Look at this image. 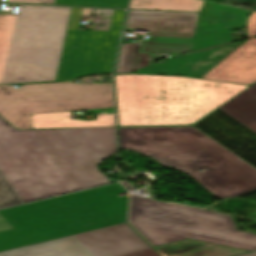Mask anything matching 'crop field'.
I'll return each mask as SVG.
<instances>
[{
    "label": "crop field",
    "mask_w": 256,
    "mask_h": 256,
    "mask_svg": "<svg viewBox=\"0 0 256 256\" xmlns=\"http://www.w3.org/2000/svg\"><path fill=\"white\" fill-rule=\"evenodd\" d=\"M71 112L31 115L33 129L115 126L114 115H99L96 121L70 120Z\"/></svg>",
    "instance_id": "crop-field-14"
},
{
    "label": "crop field",
    "mask_w": 256,
    "mask_h": 256,
    "mask_svg": "<svg viewBox=\"0 0 256 256\" xmlns=\"http://www.w3.org/2000/svg\"><path fill=\"white\" fill-rule=\"evenodd\" d=\"M119 143L188 174L219 199L256 189V169L194 127L119 128Z\"/></svg>",
    "instance_id": "crop-field-2"
},
{
    "label": "crop field",
    "mask_w": 256,
    "mask_h": 256,
    "mask_svg": "<svg viewBox=\"0 0 256 256\" xmlns=\"http://www.w3.org/2000/svg\"><path fill=\"white\" fill-rule=\"evenodd\" d=\"M1 1V0H0Z\"/></svg>",
    "instance_id": "crop-field-28"
},
{
    "label": "crop field",
    "mask_w": 256,
    "mask_h": 256,
    "mask_svg": "<svg viewBox=\"0 0 256 256\" xmlns=\"http://www.w3.org/2000/svg\"><path fill=\"white\" fill-rule=\"evenodd\" d=\"M102 111H107V113H113V108L102 109V110H91V111H86V112L87 113H102Z\"/></svg>",
    "instance_id": "crop-field-25"
},
{
    "label": "crop field",
    "mask_w": 256,
    "mask_h": 256,
    "mask_svg": "<svg viewBox=\"0 0 256 256\" xmlns=\"http://www.w3.org/2000/svg\"><path fill=\"white\" fill-rule=\"evenodd\" d=\"M71 10L20 5L0 16V84L55 81Z\"/></svg>",
    "instance_id": "crop-field-5"
},
{
    "label": "crop field",
    "mask_w": 256,
    "mask_h": 256,
    "mask_svg": "<svg viewBox=\"0 0 256 256\" xmlns=\"http://www.w3.org/2000/svg\"><path fill=\"white\" fill-rule=\"evenodd\" d=\"M124 13L115 10L110 32L68 30L56 81L111 73Z\"/></svg>",
    "instance_id": "crop-field-9"
},
{
    "label": "crop field",
    "mask_w": 256,
    "mask_h": 256,
    "mask_svg": "<svg viewBox=\"0 0 256 256\" xmlns=\"http://www.w3.org/2000/svg\"><path fill=\"white\" fill-rule=\"evenodd\" d=\"M248 40L211 70L204 79L253 84L256 82V12L249 16Z\"/></svg>",
    "instance_id": "crop-field-11"
},
{
    "label": "crop field",
    "mask_w": 256,
    "mask_h": 256,
    "mask_svg": "<svg viewBox=\"0 0 256 256\" xmlns=\"http://www.w3.org/2000/svg\"><path fill=\"white\" fill-rule=\"evenodd\" d=\"M124 186H125V188L127 189V190H132V189H134L130 184H128L127 182H124V183H122Z\"/></svg>",
    "instance_id": "crop-field-26"
},
{
    "label": "crop field",
    "mask_w": 256,
    "mask_h": 256,
    "mask_svg": "<svg viewBox=\"0 0 256 256\" xmlns=\"http://www.w3.org/2000/svg\"><path fill=\"white\" fill-rule=\"evenodd\" d=\"M12 227L8 222L0 215V231L11 229Z\"/></svg>",
    "instance_id": "crop-field-24"
},
{
    "label": "crop field",
    "mask_w": 256,
    "mask_h": 256,
    "mask_svg": "<svg viewBox=\"0 0 256 256\" xmlns=\"http://www.w3.org/2000/svg\"><path fill=\"white\" fill-rule=\"evenodd\" d=\"M125 256H158L152 249L125 255Z\"/></svg>",
    "instance_id": "crop-field-23"
},
{
    "label": "crop field",
    "mask_w": 256,
    "mask_h": 256,
    "mask_svg": "<svg viewBox=\"0 0 256 256\" xmlns=\"http://www.w3.org/2000/svg\"><path fill=\"white\" fill-rule=\"evenodd\" d=\"M0 86V115L18 129H32L30 114L113 107L111 83Z\"/></svg>",
    "instance_id": "crop-field-7"
},
{
    "label": "crop field",
    "mask_w": 256,
    "mask_h": 256,
    "mask_svg": "<svg viewBox=\"0 0 256 256\" xmlns=\"http://www.w3.org/2000/svg\"><path fill=\"white\" fill-rule=\"evenodd\" d=\"M125 192L117 183L0 210L14 228L0 232V250L127 222L128 197L116 196Z\"/></svg>",
    "instance_id": "crop-field-4"
},
{
    "label": "crop field",
    "mask_w": 256,
    "mask_h": 256,
    "mask_svg": "<svg viewBox=\"0 0 256 256\" xmlns=\"http://www.w3.org/2000/svg\"><path fill=\"white\" fill-rule=\"evenodd\" d=\"M238 44H229L210 48L204 53H188L165 60L161 64H154L137 72L174 74L200 77L204 72L214 66Z\"/></svg>",
    "instance_id": "crop-field-12"
},
{
    "label": "crop field",
    "mask_w": 256,
    "mask_h": 256,
    "mask_svg": "<svg viewBox=\"0 0 256 256\" xmlns=\"http://www.w3.org/2000/svg\"><path fill=\"white\" fill-rule=\"evenodd\" d=\"M149 248L122 224L1 252L0 256H120Z\"/></svg>",
    "instance_id": "crop-field-8"
},
{
    "label": "crop field",
    "mask_w": 256,
    "mask_h": 256,
    "mask_svg": "<svg viewBox=\"0 0 256 256\" xmlns=\"http://www.w3.org/2000/svg\"><path fill=\"white\" fill-rule=\"evenodd\" d=\"M246 87L188 78L115 76L118 126L191 125Z\"/></svg>",
    "instance_id": "crop-field-3"
},
{
    "label": "crop field",
    "mask_w": 256,
    "mask_h": 256,
    "mask_svg": "<svg viewBox=\"0 0 256 256\" xmlns=\"http://www.w3.org/2000/svg\"><path fill=\"white\" fill-rule=\"evenodd\" d=\"M249 11L205 2L197 26L238 29Z\"/></svg>",
    "instance_id": "crop-field-13"
},
{
    "label": "crop field",
    "mask_w": 256,
    "mask_h": 256,
    "mask_svg": "<svg viewBox=\"0 0 256 256\" xmlns=\"http://www.w3.org/2000/svg\"><path fill=\"white\" fill-rule=\"evenodd\" d=\"M10 125V124H9ZM0 118V172L23 203L108 184L114 127L15 130Z\"/></svg>",
    "instance_id": "crop-field-1"
},
{
    "label": "crop field",
    "mask_w": 256,
    "mask_h": 256,
    "mask_svg": "<svg viewBox=\"0 0 256 256\" xmlns=\"http://www.w3.org/2000/svg\"><path fill=\"white\" fill-rule=\"evenodd\" d=\"M58 5L126 8L129 0H55Z\"/></svg>",
    "instance_id": "crop-field-19"
},
{
    "label": "crop field",
    "mask_w": 256,
    "mask_h": 256,
    "mask_svg": "<svg viewBox=\"0 0 256 256\" xmlns=\"http://www.w3.org/2000/svg\"><path fill=\"white\" fill-rule=\"evenodd\" d=\"M231 5L256 9V0H227Z\"/></svg>",
    "instance_id": "crop-field-21"
},
{
    "label": "crop field",
    "mask_w": 256,
    "mask_h": 256,
    "mask_svg": "<svg viewBox=\"0 0 256 256\" xmlns=\"http://www.w3.org/2000/svg\"><path fill=\"white\" fill-rule=\"evenodd\" d=\"M241 256H256V252L245 254V255H241Z\"/></svg>",
    "instance_id": "crop-field-27"
},
{
    "label": "crop field",
    "mask_w": 256,
    "mask_h": 256,
    "mask_svg": "<svg viewBox=\"0 0 256 256\" xmlns=\"http://www.w3.org/2000/svg\"><path fill=\"white\" fill-rule=\"evenodd\" d=\"M21 200L0 173V208L21 204Z\"/></svg>",
    "instance_id": "crop-field-20"
},
{
    "label": "crop field",
    "mask_w": 256,
    "mask_h": 256,
    "mask_svg": "<svg viewBox=\"0 0 256 256\" xmlns=\"http://www.w3.org/2000/svg\"><path fill=\"white\" fill-rule=\"evenodd\" d=\"M219 109L256 133V84Z\"/></svg>",
    "instance_id": "crop-field-15"
},
{
    "label": "crop field",
    "mask_w": 256,
    "mask_h": 256,
    "mask_svg": "<svg viewBox=\"0 0 256 256\" xmlns=\"http://www.w3.org/2000/svg\"><path fill=\"white\" fill-rule=\"evenodd\" d=\"M129 221L153 246L189 238L256 250V235L236 231L230 216L196 208L131 195Z\"/></svg>",
    "instance_id": "crop-field-6"
},
{
    "label": "crop field",
    "mask_w": 256,
    "mask_h": 256,
    "mask_svg": "<svg viewBox=\"0 0 256 256\" xmlns=\"http://www.w3.org/2000/svg\"><path fill=\"white\" fill-rule=\"evenodd\" d=\"M141 42L122 43L116 73L137 71L149 65V54L139 52Z\"/></svg>",
    "instance_id": "crop-field-16"
},
{
    "label": "crop field",
    "mask_w": 256,
    "mask_h": 256,
    "mask_svg": "<svg viewBox=\"0 0 256 256\" xmlns=\"http://www.w3.org/2000/svg\"><path fill=\"white\" fill-rule=\"evenodd\" d=\"M8 2L19 3H43V4H56L54 0H7Z\"/></svg>",
    "instance_id": "crop-field-22"
},
{
    "label": "crop field",
    "mask_w": 256,
    "mask_h": 256,
    "mask_svg": "<svg viewBox=\"0 0 256 256\" xmlns=\"http://www.w3.org/2000/svg\"><path fill=\"white\" fill-rule=\"evenodd\" d=\"M202 4L199 0H132L129 8L199 12Z\"/></svg>",
    "instance_id": "crop-field-17"
},
{
    "label": "crop field",
    "mask_w": 256,
    "mask_h": 256,
    "mask_svg": "<svg viewBox=\"0 0 256 256\" xmlns=\"http://www.w3.org/2000/svg\"><path fill=\"white\" fill-rule=\"evenodd\" d=\"M232 42L229 30L197 27L192 51Z\"/></svg>",
    "instance_id": "crop-field-18"
},
{
    "label": "crop field",
    "mask_w": 256,
    "mask_h": 256,
    "mask_svg": "<svg viewBox=\"0 0 256 256\" xmlns=\"http://www.w3.org/2000/svg\"><path fill=\"white\" fill-rule=\"evenodd\" d=\"M197 13L131 10L125 31L149 29L150 37L143 43V52H188Z\"/></svg>",
    "instance_id": "crop-field-10"
}]
</instances>
